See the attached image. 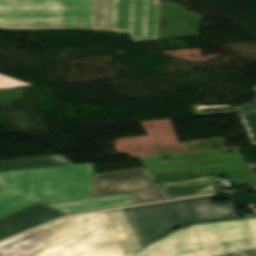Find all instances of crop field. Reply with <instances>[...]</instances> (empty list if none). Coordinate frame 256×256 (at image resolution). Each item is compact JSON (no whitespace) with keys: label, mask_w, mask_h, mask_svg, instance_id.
Listing matches in <instances>:
<instances>
[{"label":"crop field","mask_w":256,"mask_h":256,"mask_svg":"<svg viewBox=\"0 0 256 256\" xmlns=\"http://www.w3.org/2000/svg\"><path fill=\"white\" fill-rule=\"evenodd\" d=\"M62 215L65 214L37 203L15 214L1 218L0 240Z\"/></svg>","instance_id":"obj_6"},{"label":"crop field","mask_w":256,"mask_h":256,"mask_svg":"<svg viewBox=\"0 0 256 256\" xmlns=\"http://www.w3.org/2000/svg\"><path fill=\"white\" fill-rule=\"evenodd\" d=\"M252 91L256 92V86L253 87ZM193 109L196 116L244 112V111H256V101L242 104L240 105V107L194 105Z\"/></svg>","instance_id":"obj_10"},{"label":"crop field","mask_w":256,"mask_h":256,"mask_svg":"<svg viewBox=\"0 0 256 256\" xmlns=\"http://www.w3.org/2000/svg\"><path fill=\"white\" fill-rule=\"evenodd\" d=\"M238 114L250 139L251 145H256V112H244Z\"/></svg>","instance_id":"obj_11"},{"label":"crop field","mask_w":256,"mask_h":256,"mask_svg":"<svg viewBox=\"0 0 256 256\" xmlns=\"http://www.w3.org/2000/svg\"><path fill=\"white\" fill-rule=\"evenodd\" d=\"M44 203V202H41ZM67 214L101 208L131 205L126 194L81 199L57 204L44 203Z\"/></svg>","instance_id":"obj_7"},{"label":"crop field","mask_w":256,"mask_h":256,"mask_svg":"<svg viewBox=\"0 0 256 256\" xmlns=\"http://www.w3.org/2000/svg\"><path fill=\"white\" fill-rule=\"evenodd\" d=\"M159 0H0V29L109 30L157 39Z\"/></svg>","instance_id":"obj_2"},{"label":"crop field","mask_w":256,"mask_h":256,"mask_svg":"<svg viewBox=\"0 0 256 256\" xmlns=\"http://www.w3.org/2000/svg\"><path fill=\"white\" fill-rule=\"evenodd\" d=\"M216 176L162 184L169 199L214 192Z\"/></svg>","instance_id":"obj_8"},{"label":"crop field","mask_w":256,"mask_h":256,"mask_svg":"<svg viewBox=\"0 0 256 256\" xmlns=\"http://www.w3.org/2000/svg\"><path fill=\"white\" fill-rule=\"evenodd\" d=\"M235 185L246 184L249 187L256 186V171L241 172L226 175Z\"/></svg>","instance_id":"obj_12"},{"label":"crop field","mask_w":256,"mask_h":256,"mask_svg":"<svg viewBox=\"0 0 256 256\" xmlns=\"http://www.w3.org/2000/svg\"><path fill=\"white\" fill-rule=\"evenodd\" d=\"M72 164L61 155L0 161V172L53 167Z\"/></svg>","instance_id":"obj_9"},{"label":"crop field","mask_w":256,"mask_h":256,"mask_svg":"<svg viewBox=\"0 0 256 256\" xmlns=\"http://www.w3.org/2000/svg\"><path fill=\"white\" fill-rule=\"evenodd\" d=\"M134 256H256V218L194 224Z\"/></svg>","instance_id":"obj_3"},{"label":"crop field","mask_w":256,"mask_h":256,"mask_svg":"<svg viewBox=\"0 0 256 256\" xmlns=\"http://www.w3.org/2000/svg\"><path fill=\"white\" fill-rule=\"evenodd\" d=\"M159 187L145 168L94 175L92 164V197ZM133 205L166 200L168 197L159 189L128 194Z\"/></svg>","instance_id":"obj_5"},{"label":"crop field","mask_w":256,"mask_h":256,"mask_svg":"<svg viewBox=\"0 0 256 256\" xmlns=\"http://www.w3.org/2000/svg\"><path fill=\"white\" fill-rule=\"evenodd\" d=\"M91 197V164L0 173V217L39 200Z\"/></svg>","instance_id":"obj_4"},{"label":"crop field","mask_w":256,"mask_h":256,"mask_svg":"<svg viewBox=\"0 0 256 256\" xmlns=\"http://www.w3.org/2000/svg\"><path fill=\"white\" fill-rule=\"evenodd\" d=\"M28 85H31V84L20 82L0 74V88L28 86Z\"/></svg>","instance_id":"obj_13"},{"label":"crop field","mask_w":256,"mask_h":256,"mask_svg":"<svg viewBox=\"0 0 256 256\" xmlns=\"http://www.w3.org/2000/svg\"><path fill=\"white\" fill-rule=\"evenodd\" d=\"M211 197L62 219L6 242L0 256H132L180 225L238 219Z\"/></svg>","instance_id":"obj_1"}]
</instances>
